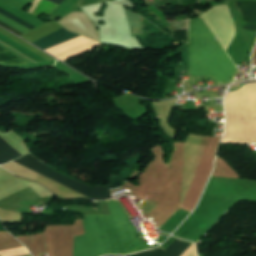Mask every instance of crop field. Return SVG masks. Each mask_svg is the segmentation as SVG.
Listing matches in <instances>:
<instances>
[{
  "label": "crop field",
  "instance_id": "crop-field-8",
  "mask_svg": "<svg viewBox=\"0 0 256 256\" xmlns=\"http://www.w3.org/2000/svg\"><path fill=\"white\" fill-rule=\"evenodd\" d=\"M22 156L15 151L3 138L0 137V164Z\"/></svg>",
  "mask_w": 256,
  "mask_h": 256
},
{
  "label": "crop field",
  "instance_id": "crop-field-6",
  "mask_svg": "<svg viewBox=\"0 0 256 256\" xmlns=\"http://www.w3.org/2000/svg\"><path fill=\"white\" fill-rule=\"evenodd\" d=\"M191 244L192 242L176 238L166 250L160 246L131 256H159L163 250L160 256H180Z\"/></svg>",
  "mask_w": 256,
  "mask_h": 256
},
{
  "label": "crop field",
  "instance_id": "crop-field-10",
  "mask_svg": "<svg viewBox=\"0 0 256 256\" xmlns=\"http://www.w3.org/2000/svg\"><path fill=\"white\" fill-rule=\"evenodd\" d=\"M49 1H52V2H55V3L59 4V3L62 2L63 0H49Z\"/></svg>",
  "mask_w": 256,
  "mask_h": 256
},
{
  "label": "crop field",
  "instance_id": "crop-field-3",
  "mask_svg": "<svg viewBox=\"0 0 256 256\" xmlns=\"http://www.w3.org/2000/svg\"><path fill=\"white\" fill-rule=\"evenodd\" d=\"M15 161L43 174L46 175L55 181L89 197L90 199L102 200L111 198L109 189H112V186L108 187H88L78 181L66 178L61 174L53 171L49 167L43 165L37 159H35L30 154H27L23 157L16 159Z\"/></svg>",
  "mask_w": 256,
  "mask_h": 256
},
{
  "label": "crop field",
  "instance_id": "crop-field-4",
  "mask_svg": "<svg viewBox=\"0 0 256 256\" xmlns=\"http://www.w3.org/2000/svg\"><path fill=\"white\" fill-rule=\"evenodd\" d=\"M60 28H62V26H60L59 24H57L56 22H54L52 20L49 23L45 24L44 26H42V27L38 28L37 30L24 36L23 38L32 42L40 37H43L51 32H54ZM78 36H80V35L74 34V33L69 32V31L65 30L64 28H62L54 33H51L43 38H40V39L32 42V44L46 50L48 48H51L53 46H56L58 44H61L65 41H68V40L73 39Z\"/></svg>",
  "mask_w": 256,
  "mask_h": 256
},
{
  "label": "crop field",
  "instance_id": "crop-field-7",
  "mask_svg": "<svg viewBox=\"0 0 256 256\" xmlns=\"http://www.w3.org/2000/svg\"><path fill=\"white\" fill-rule=\"evenodd\" d=\"M243 23L244 31H256V2H235Z\"/></svg>",
  "mask_w": 256,
  "mask_h": 256
},
{
  "label": "crop field",
  "instance_id": "crop-field-1",
  "mask_svg": "<svg viewBox=\"0 0 256 256\" xmlns=\"http://www.w3.org/2000/svg\"><path fill=\"white\" fill-rule=\"evenodd\" d=\"M111 215H90L103 255L130 254L150 248L141 241L134 226L116 200H107ZM89 215L83 216L85 236L75 237L74 256H101Z\"/></svg>",
  "mask_w": 256,
  "mask_h": 256
},
{
  "label": "crop field",
  "instance_id": "crop-field-9",
  "mask_svg": "<svg viewBox=\"0 0 256 256\" xmlns=\"http://www.w3.org/2000/svg\"><path fill=\"white\" fill-rule=\"evenodd\" d=\"M0 13L6 15V16H8V17H10L11 19H13V20L19 22L20 24H22V25H24V26H26V27H28V28H30V29L34 28V27L31 26L30 24H28V23L24 22L23 20H21V19L15 17V16L11 15L10 13L6 12L5 10H3V9H1V8H0ZM0 25L3 26V27H5V28H7V29H9V30H11V31H13L14 33H16V34L19 35V36L23 34V33H21V32H19V31L15 30V29H13V28H11L10 26H8V25L2 23V22H0Z\"/></svg>",
  "mask_w": 256,
  "mask_h": 256
},
{
  "label": "crop field",
  "instance_id": "crop-field-5",
  "mask_svg": "<svg viewBox=\"0 0 256 256\" xmlns=\"http://www.w3.org/2000/svg\"><path fill=\"white\" fill-rule=\"evenodd\" d=\"M0 34L4 35L5 37L13 40L14 42L22 45L23 47L29 49L30 51L38 54L39 56L49 60L53 59L49 55L43 53L42 51L38 50L37 48L31 46L30 44L26 43L25 41L21 40L20 38L14 36L13 34L9 33L8 31L0 28ZM0 63H6V64H26L20 59L16 58L12 54L8 53L7 51L0 48Z\"/></svg>",
  "mask_w": 256,
  "mask_h": 256
},
{
  "label": "crop field",
  "instance_id": "crop-field-2",
  "mask_svg": "<svg viewBox=\"0 0 256 256\" xmlns=\"http://www.w3.org/2000/svg\"><path fill=\"white\" fill-rule=\"evenodd\" d=\"M189 39L190 76H214L217 83L230 81L237 69L200 18L191 20Z\"/></svg>",
  "mask_w": 256,
  "mask_h": 256
}]
</instances>
